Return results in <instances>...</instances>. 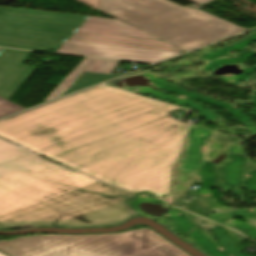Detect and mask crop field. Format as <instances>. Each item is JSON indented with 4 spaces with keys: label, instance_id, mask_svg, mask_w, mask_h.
Instances as JSON below:
<instances>
[{
    "label": "crop field",
    "instance_id": "ac0d7876",
    "mask_svg": "<svg viewBox=\"0 0 256 256\" xmlns=\"http://www.w3.org/2000/svg\"><path fill=\"white\" fill-rule=\"evenodd\" d=\"M134 196L0 139V229L120 225Z\"/></svg>",
    "mask_w": 256,
    "mask_h": 256
},
{
    "label": "crop field",
    "instance_id": "d8731c3e",
    "mask_svg": "<svg viewBox=\"0 0 256 256\" xmlns=\"http://www.w3.org/2000/svg\"><path fill=\"white\" fill-rule=\"evenodd\" d=\"M95 60L96 59L85 58L44 102L62 96Z\"/></svg>",
    "mask_w": 256,
    "mask_h": 256
},
{
    "label": "crop field",
    "instance_id": "d1516ede",
    "mask_svg": "<svg viewBox=\"0 0 256 256\" xmlns=\"http://www.w3.org/2000/svg\"><path fill=\"white\" fill-rule=\"evenodd\" d=\"M0 256H6V255H4V254L0 253Z\"/></svg>",
    "mask_w": 256,
    "mask_h": 256
},
{
    "label": "crop field",
    "instance_id": "8a807250",
    "mask_svg": "<svg viewBox=\"0 0 256 256\" xmlns=\"http://www.w3.org/2000/svg\"><path fill=\"white\" fill-rule=\"evenodd\" d=\"M174 106L96 86L0 120V136L133 192L167 194L187 125Z\"/></svg>",
    "mask_w": 256,
    "mask_h": 256
},
{
    "label": "crop field",
    "instance_id": "34b2d1b8",
    "mask_svg": "<svg viewBox=\"0 0 256 256\" xmlns=\"http://www.w3.org/2000/svg\"><path fill=\"white\" fill-rule=\"evenodd\" d=\"M204 4L210 0H190ZM103 12L186 51L247 30L167 0H101Z\"/></svg>",
    "mask_w": 256,
    "mask_h": 256
},
{
    "label": "crop field",
    "instance_id": "dd49c442",
    "mask_svg": "<svg viewBox=\"0 0 256 256\" xmlns=\"http://www.w3.org/2000/svg\"><path fill=\"white\" fill-rule=\"evenodd\" d=\"M77 31L159 40L117 19L89 16Z\"/></svg>",
    "mask_w": 256,
    "mask_h": 256
},
{
    "label": "crop field",
    "instance_id": "5a996713",
    "mask_svg": "<svg viewBox=\"0 0 256 256\" xmlns=\"http://www.w3.org/2000/svg\"><path fill=\"white\" fill-rule=\"evenodd\" d=\"M119 63L118 61L97 59L86 72L109 74Z\"/></svg>",
    "mask_w": 256,
    "mask_h": 256
},
{
    "label": "crop field",
    "instance_id": "3316defc",
    "mask_svg": "<svg viewBox=\"0 0 256 256\" xmlns=\"http://www.w3.org/2000/svg\"><path fill=\"white\" fill-rule=\"evenodd\" d=\"M25 109L0 97V118Z\"/></svg>",
    "mask_w": 256,
    "mask_h": 256
},
{
    "label": "crop field",
    "instance_id": "f4fd0767",
    "mask_svg": "<svg viewBox=\"0 0 256 256\" xmlns=\"http://www.w3.org/2000/svg\"><path fill=\"white\" fill-rule=\"evenodd\" d=\"M56 52L149 63H157L166 58L180 54L178 52L109 46L71 41H66Z\"/></svg>",
    "mask_w": 256,
    "mask_h": 256
},
{
    "label": "crop field",
    "instance_id": "28ad6ade",
    "mask_svg": "<svg viewBox=\"0 0 256 256\" xmlns=\"http://www.w3.org/2000/svg\"><path fill=\"white\" fill-rule=\"evenodd\" d=\"M81 1H83V2H85V3H87V4H89V5H91V6H93V7L102 11L100 0H81Z\"/></svg>",
    "mask_w": 256,
    "mask_h": 256
},
{
    "label": "crop field",
    "instance_id": "412701ff",
    "mask_svg": "<svg viewBox=\"0 0 256 256\" xmlns=\"http://www.w3.org/2000/svg\"><path fill=\"white\" fill-rule=\"evenodd\" d=\"M10 256H190L150 228L99 235H34L0 241Z\"/></svg>",
    "mask_w": 256,
    "mask_h": 256
},
{
    "label": "crop field",
    "instance_id": "e52e79f7",
    "mask_svg": "<svg viewBox=\"0 0 256 256\" xmlns=\"http://www.w3.org/2000/svg\"><path fill=\"white\" fill-rule=\"evenodd\" d=\"M68 40L183 52L165 42L75 32Z\"/></svg>",
    "mask_w": 256,
    "mask_h": 256
}]
</instances>
